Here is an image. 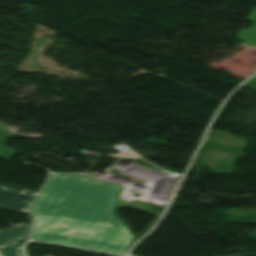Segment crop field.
<instances>
[{
	"label": "crop field",
	"mask_w": 256,
	"mask_h": 256,
	"mask_svg": "<svg viewBox=\"0 0 256 256\" xmlns=\"http://www.w3.org/2000/svg\"><path fill=\"white\" fill-rule=\"evenodd\" d=\"M121 188L78 175H50L31 208L41 214L32 238L125 254L133 238L113 215Z\"/></svg>",
	"instance_id": "obj_1"
},
{
	"label": "crop field",
	"mask_w": 256,
	"mask_h": 256,
	"mask_svg": "<svg viewBox=\"0 0 256 256\" xmlns=\"http://www.w3.org/2000/svg\"><path fill=\"white\" fill-rule=\"evenodd\" d=\"M35 194L0 186V206L17 212L28 213Z\"/></svg>",
	"instance_id": "obj_2"
},
{
	"label": "crop field",
	"mask_w": 256,
	"mask_h": 256,
	"mask_svg": "<svg viewBox=\"0 0 256 256\" xmlns=\"http://www.w3.org/2000/svg\"><path fill=\"white\" fill-rule=\"evenodd\" d=\"M30 228L19 224L13 229L0 230V256H10L23 253L18 243L12 244L16 239L28 237Z\"/></svg>",
	"instance_id": "obj_3"
},
{
	"label": "crop field",
	"mask_w": 256,
	"mask_h": 256,
	"mask_svg": "<svg viewBox=\"0 0 256 256\" xmlns=\"http://www.w3.org/2000/svg\"><path fill=\"white\" fill-rule=\"evenodd\" d=\"M241 35H243V37ZM236 38L240 39L247 45L256 46V25L252 24L250 29L240 30Z\"/></svg>",
	"instance_id": "obj_4"
},
{
	"label": "crop field",
	"mask_w": 256,
	"mask_h": 256,
	"mask_svg": "<svg viewBox=\"0 0 256 256\" xmlns=\"http://www.w3.org/2000/svg\"><path fill=\"white\" fill-rule=\"evenodd\" d=\"M246 19L256 23V8L252 9V12L246 17Z\"/></svg>",
	"instance_id": "obj_5"
},
{
	"label": "crop field",
	"mask_w": 256,
	"mask_h": 256,
	"mask_svg": "<svg viewBox=\"0 0 256 256\" xmlns=\"http://www.w3.org/2000/svg\"><path fill=\"white\" fill-rule=\"evenodd\" d=\"M34 214V217H35V224H36V222H37V220H38V218H39V214H35V213H33Z\"/></svg>",
	"instance_id": "obj_6"
},
{
	"label": "crop field",
	"mask_w": 256,
	"mask_h": 256,
	"mask_svg": "<svg viewBox=\"0 0 256 256\" xmlns=\"http://www.w3.org/2000/svg\"><path fill=\"white\" fill-rule=\"evenodd\" d=\"M15 256H23L22 254H19V255H15Z\"/></svg>",
	"instance_id": "obj_7"
}]
</instances>
